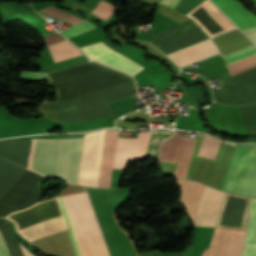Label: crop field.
Here are the masks:
<instances>
[{
    "label": "crop field",
    "mask_w": 256,
    "mask_h": 256,
    "mask_svg": "<svg viewBox=\"0 0 256 256\" xmlns=\"http://www.w3.org/2000/svg\"><path fill=\"white\" fill-rule=\"evenodd\" d=\"M82 50L91 59L128 74L134 75L145 68L121 55L120 53L112 50L102 42L82 47Z\"/></svg>",
    "instance_id": "6"
},
{
    "label": "crop field",
    "mask_w": 256,
    "mask_h": 256,
    "mask_svg": "<svg viewBox=\"0 0 256 256\" xmlns=\"http://www.w3.org/2000/svg\"><path fill=\"white\" fill-rule=\"evenodd\" d=\"M115 9L116 8L110 6L109 4H107L101 0L100 4L97 6V8L94 9L91 13H93L107 21Z\"/></svg>",
    "instance_id": "16"
},
{
    "label": "crop field",
    "mask_w": 256,
    "mask_h": 256,
    "mask_svg": "<svg viewBox=\"0 0 256 256\" xmlns=\"http://www.w3.org/2000/svg\"><path fill=\"white\" fill-rule=\"evenodd\" d=\"M247 136L256 135V107H240Z\"/></svg>",
    "instance_id": "14"
},
{
    "label": "crop field",
    "mask_w": 256,
    "mask_h": 256,
    "mask_svg": "<svg viewBox=\"0 0 256 256\" xmlns=\"http://www.w3.org/2000/svg\"><path fill=\"white\" fill-rule=\"evenodd\" d=\"M256 44V33L247 35Z\"/></svg>",
    "instance_id": "19"
},
{
    "label": "crop field",
    "mask_w": 256,
    "mask_h": 256,
    "mask_svg": "<svg viewBox=\"0 0 256 256\" xmlns=\"http://www.w3.org/2000/svg\"><path fill=\"white\" fill-rule=\"evenodd\" d=\"M152 133L141 132L137 138H118L113 168L122 169L126 161L144 156Z\"/></svg>",
    "instance_id": "7"
},
{
    "label": "crop field",
    "mask_w": 256,
    "mask_h": 256,
    "mask_svg": "<svg viewBox=\"0 0 256 256\" xmlns=\"http://www.w3.org/2000/svg\"><path fill=\"white\" fill-rule=\"evenodd\" d=\"M242 256H256V199L251 200Z\"/></svg>",
    "instance_id": "11"
},
{
    "label": "crop field",
    "mask_w": 256,
    "mask_h": 256,
    "mask_svg": "<svg viewBox=\"0 0 256 256\" xmlns=\"http://www.w3.org/2000/svg\"><path fill=\"white\" fill-rule=\"evenodd\" d=\"M220 142V140L214 139L206 135L202 141L198 155L214 160L217 155Z\"/></svg>",
    "instance_id": "13"
},
{
    "label": "crop field",
    "mask_w": 256,
    "mask_h": 256,
    "mask_svg": "<svg viewBox=\"0 0 256 256\" xmlns=\"http://www.w3.org/2000/svg\"><path fill=\"white\" fill-rule=\"evenodd\" d=\"M222 190L256 197V145H236Z\"/></svg>",
    "instance_id": "4"
},
{
    "label": "crop field",
    "mask_w": 256,
    "mask_h": 256,
    "mask_svg": "<svg viewBox=\"0 0 256 256\" xmlns=\"http://www.w3.org/2000/svg\"><path fill=\"white\" fill-rule=\"evenodd\" d=\"M222 10L241 30L256 27V17L247 12L236 0H211Z\"/></svg>",
    "instance_id": "9"
},
{
    "label": "crop field",
    "mask_w": 256,
    "mask_h": 256,
    "mask_svg": "<svg viewBox=\"0 0 256 256\" xmlns=\"http://www.w3.org/2000/svg\"><path fill=\"white\" fill-rule=\"evenodd\" d=\"M20 77L47 79L46 73L44 70L37 73L22 72Z\"/></svg>",
    "instance_id": "17"
},
{
    "label": "crop field",
    "mask_w": 256,
    "mask_h": 256,
    "mask_svg": "<svg viewBox=\"0 0 256 256\" xmlns=\"http://www.w3.org/2000/svg\"><path fill=\"white\" fill-rule=\"evenodd\" d=\"M180 0H160V3L174 9Z\"/></svg>",
    "instance_id": "18"
},
{
    "label": "crop field",
    "mask_w": 256,
    "mask_h": 256,
    "mask_svg": "<svg viewBox=\"0 0 256 256\" xmlns=\"http://www.w3.org/2000/svg\"><path fill=\"white\" fill-rule=\"evenodd\" d=\"M219 53L210 39L167 54L180 68Z\"/></svg>",
    "instance_id": "8"
},
{
    "label": "crop field",
    "mask_w": 256,
    "mask_h": 256,
    "mask_svg": "<svg viewBox=\"0 0 256 256\" xmlns=\"http://www.w3.org/2000/svg\"><path fill=\"white\" fill-rule=\"evenodd\" d=\"M0 233L4 239V242L8 248L11 256H23V254H24V256H33L26 249H24L21 245H19L23 252V254H22L7 222L1 226ZM1 235H0V256H10L8 253V250L3 242Z\"/></svg>",
    "instance_id": "10"
},
{
    "label": "crop field",
    "mask_w": 256,
    "mask_h": 256,
    "mask_svg": "<svg viewBox=\"0 0 256 256\" xmlns=\"http://www.w3.org/2000/svg\"><path fill=\"white\" fill-rule=\"evenodd\" d=\"M255 31H256V28H252V29L244 30L243 32L245 34H247V33L255 32Z\"/></svg>",
    "instance_id": "20"
},
{
    "label": "crop field",
    "mask_w": 256,
    "mask_h": 256,
    "mask_svg": "<svg viewBox=\"0 0 256 256\" xmlns=\"http://www.w3.org/2000/svg\"><path fill=\"white\" fill-rule=\"evenodd\" d=\"M214 100L226 105H256V67L223 81Z\"/></svg>",
    "instance_id": "5"
},
{
    "label": "crop field",
    "mask_w": 256,
    "mask_h": 256,
    "mask_svg": "<svg viewBox=\"0 0 256 256\" xmlns=\"http://www.w3.org/2000/svg\"><path fill=\"white\" fill-rule=\"evenodd\" d=\"M49 47L55 62L81 55L80 51L67 41L50 45Z\"/></svg>",
    "instance_id": "12"
},
{
    "label": "crop field",
    "mask_w": 256,
    "mask_h": 256,
    "mask_svg": "<svg viewBox=\"0 0 256 256\" xmlns=\"http://www.w3.org/2000/svg\"><path fill=\"white\" fill-rule=\"evenodd\" d=\"M182 194L181 201L187 208L195 226L214 227L222 191L201 183L176 179ZM229 228H215L208 249L202 256H223ZM245 229L230 228L224 256H240Z\"/></svg>",
    "instance_id": "1"
},
{
    "label": "crop field",
    "mask_w": 256,
    "mask_h": 256,
    "mask_svg": "<svg viewBox=\"0 0 256 256\" xmlns=\"http://www.w3.org/2000/svg\"><path fill=\"white\" fill-rule=\"evenodd\" d=\"M83 138L29 139L26 168L43 176H57L76 184Z\"/></svg>",
    "instance_id": "2"
},
{
    "label": "crop field",
    "mask_w": 256,
    "mask_h": 256,
    "mask_svg": "<svg viewBox=\"0 0 256 256\" xmlns=\"http://www.w3.org/2000/svg\"><path fill=\"white\" fill-rule=\"evenodd\" d=\"M95 256H109L87 193L74 194ZM74 195L59 196L58 201L68 227L76 256H94Z\"/></svg>",
    "instance_id": "3"
},
{
    "label": "crop field",
    "mask_w": 256,
    "mask_h": 256,
    "mask_svg": "<svg viewBox=\"0 0 256 256\" xmlns=\"http://www.w3.org/2000/svg\"><path fill=\"white\" fill-rule=\"evenodd\" d=\"M95 28L93 25H91L89 22L84 21L70 29L61 31L60 33H62L64 36H66L67 38L77 35L79 33L85 32L87 30L93 29Z\"/></svg>",
    "instance_id": "15"
}]
</instances>
